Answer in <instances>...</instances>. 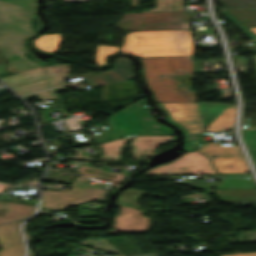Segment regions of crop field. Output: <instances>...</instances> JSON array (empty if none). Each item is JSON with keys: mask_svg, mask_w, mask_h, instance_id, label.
Instances as JSON below:
<instances>
[{"mask_svg": "<svg viewBox=\"0 0 256 256\" xmlns=\"http://www.w3.org/2000/svg\"><path fill=\"white\" fill-rule=\"evenodd\" d=\"M143 78L156 102H195L194 91L180 85L177 75L192 73L193 57L138 58Z\"/></svg>", "mask_w": 256, "mask_h": 256, "instance_id": "crop-field-2", "label": "crop field"}, {"mask_svg": "<svg viewBox=\"0 0 256 256\" xmlns=\"http://www.w3.org/2000/svg\"><path fill=\"white\" fill-rule=\"evenodd\" d=\"M61 34L43 35L36 40L34 44L37 48L52 53H58Z\"/></svg>", "mask_w": 256, "mask_h": 256, "instance_id": "crop-field-15", "label": "crop field"}, {"mask_svg": "<svg viewBox=\"0 0 256 256\" xmlns=\"http://www.w3.org/2000/svg\"><path fill=\"white\" fill-rule=\"evenodd\" d=\"M221 14L224 15L230 22H232L235 26H237L244 34H246L249 38L255 39L256 37L249 32L243 25H241L236 19H234L229 13L225 10H220Z\"/></svg>", "mask_w": 256, "mask_h": 256, "instance_id": "crop-field-19", "label": "crop field"}, {"mask_svg": "<svg viewBox=\"0 0 256 256\" xmlns=\"http://www.w3.org/2000/svg\"><path fill=\"white\" fill-rule=\"evenodd\" d=\"M249 29L252 30L256 34V28H249Z\"/></svg>", "mask_w": 256, "mask_h": 256, "instance_id": "crop-field-21", "label": "crop field"}, {"mask_svg": "<svg viewBox=\"0 0 256 256\" xmlns=\"http://www.w3.org/2000/svg\"><path fill=\"white\" fill-rule=\"evenodd\" d=\"M107 122L110 130L92 136L96 142L129 135L172 134L171 129L152 119L143 99L108 117Z\"/></svg>", "mask_w": 256, "mask_h": 256, "instance_id": "crop-field-4", "label": "crop field"}, {"mask_svg": "<svg viewBox=\"0 0 256 256\" xmlns=\"http://www.w3.org/2000/svg\"><path fill=\"white\" fill-rule=\"evenodd\" d=\"M206 156L213 155L211 159L219 173L249 172L238 146H220L207 144L199 150Z\"/></svg>", "mask_w": 256, "mask_h": 256, "instance_id": "crop-field-9", "label": "crop field"}, {"mask_svg": "<svg viewBox=\"0 0 256 256\" xmlns=\"http://www.w3.org/2000/svg\"><path fill=\"white\" fill-rule=\"evenodd\" d=\"M132 136L102 143L104 155L101 156L102 160H118L120 159L121 147L127 140L131 139ZM172 136H135L131 142L133 146V156L144 155L152 152L153 148L159 144H162Z\"/></svg>", "mask_w": 256, "mask_h": 256, "instance_id": "crop-field-10", "label": "crop field"}, {"mask_svg": "<svg viewBox=\"0 0 256 256\" xmlns=\"http://www.w3.org/2000/svg\"><path fill=\"white\" fill-rule=\"evenodd\" d=\"M223 8L256 7V0H215Z\"/></svg>", "mask_w": 256, "mask_h": 256, "instance_id": "crop-field-18", "label": "crop field"}, {"mask_svg": "<svg viewBox=\"0 0 256 256\" xmlns=\"http://www.w3.org/2000/svg\"><path fill=\"white\" fill-rule=\"evenodd\" d=\"M168 120L181 128L185 134L202 132L197 116V103H158ZM235 109L226 107L208 126L207 130H229L233 123Z\"/></svg>", "mask_w": 256, "mask_h": 256, "instance_id": "crop-field-5", "label": "crop field"}, {"mask_svg": "<svg viewBox=\"0 0 256 256\" xmlns=\"http://www.w3.org/2000/svg\"><path fill=\"white\" fill-rule=\"evenodd\" d=\"M119 52L137 57L192 55L189 30H157L131 32Z\"/></svg>", "mask_w": 256, "mask_h": 256, "instance_id": "crop-field-3", "label": "crop field"}, {"mask_svg": "<svg viewBox=\"0 0 256 256\" xmlns=\"http://www.w3.org/2000/svg\"><path fill=\"white\" fill-rule=\"evenodd\" d=\"M118 49V47L98 45L95 60L98 64V67L104 66L106 64L107 56L115 53L116 51H118Z\"/></svg>", "mask_w": 256, "mask_h": 256, "instance_id": "crop-field-17", "label": "crop field"}, {"mask_svg": "<svg viewBox=\"0 0 256 256\" xmlns=\"http://www.w3.org/2000/svg\"><path fill=\"white\" fill-rule=\"evenodd\" d=\"M24 220L0 225V256H23V242L18 227Z\"/></svg>", "mask_w": 256, "mask_h": 256, "instance_id": "crop-field-13", "label": "crop field"}, {"mask_svg": "<svg viewBox=\"0 0 256 256\" xmlns=\"http://www.w3.org/2000/svg\"><path fill=\"white\" fill-rule=\"evenodd\" d=\"M35 2L0 0V50L10 62L2 67L10 74L48 65L22 47L23 39L40 27Z\"/></svg>", "mask_w": 256, "mask_h": 256, "instance_id": "crop-field-1", "label": "crop field"}, {"mask_svg": "<svg viewBox=\"0 0 256 256\" xmlns=\"http://www.w3.org/2000/svg\"><path fill=\"white\" fill-rule=\"evenodd\" d=\"M224 256H256V252L255 253H245V254L224 255Z\"/></svg>", "mask_w": 256, "mask_h": 256, "instance_id": "crop-field-20", "label": "crop field"}, {"mask_svg": "<svg viewBox=\"0 0 256 256\" xmlns=\"http://www.w3.org/2000/svg\"><path fill=\"white\" fill-rule=\"evenodd\" d=\"M123 16V19L117 23L121 31L189 29L190 23L187 11L130 13Z\"/></svg>", "mask_w": 256, "mask_h": 256, "instance_id": "crop-field-6", "label": "crop field"}, {"mask_svg": "<svg viewBox=\"0 0 256 256\" xmlns=\"http://www.w3.org/2000/svg\"><path fill=\"white\" fill-rule=\"evenodd\" d=\"M119 212L115 215L112 228L115 230H109L108 234H117L118 232H148L151 222L150 218L142 216V212L134 209L119 206Z\"/></svg>", "mask_w": 256, "mask_h": 256, "instance_id": "crop-field-12", "label": "crop field"}, {"mask_svg": "<svg viewBox=\"0 0 256 256\" xmlns=\"http://www.w3.org/2000/svg\"><path fill=\"white\" fill-rule=\"evenodd\" d=\"M254 42V44H255V46H256V41H253Z\"/></svg>", "mask_w": 256, "mask_h": 256, "instance_id": "crop-field-23", "label": "crop field"}, {"mask_svg": "<svg viewBox=\"0 0 256 256\" xmlns=\"http://www.w3.org/2000/svg\"><path fill=\"white\" fill-rule=\"evenodd\" d=\"M253 55V58H254V61H255V64H256V54H252Z\"/></svg>", "mask_w": 256, "mask_h": 256, "instance_id": "crop-field-22", "label": "crop field"}, {"mask_svg": "<svg viewBox=\"0 0 256 256\" xmlns=\"http://www.w3.org/2000/svg\"><path fill=\"white\" fill-rule=\"evenodd\" d=\"M133 78L132 63L126 57H116L112 67L105 72H98L83 80L91 87L106 86Z\"/></svg>", "mask_w": 256, "mask_h": 256, "instance_id": "crop-field-11", "label": "crop field"}, {"mask_svg": "<svg viewBox=\"0 0 256 256\" xmlns=\"http://www.w3.org/2000/svg\"><path fill=\"white\" fill-rule=\"evenodd\" d=\"M214 170L207 158L198 152H185L177 161L157 166L149 170L145 176L160 175H194L214 174Z\"/></svg>", "mask_w": 256, "mask_h": 256, "instance_id": "crop-field-8", "label": "crop field"}, {"mask_svg": "<svg viewBox=\"0 0 256 256\" xmlns=\"http://www.w3.org/2000/svg\"><path fill=\"white\" fill-rule=\"evenodd\" d=\"M36 206L0 201V210H6L0 217V223L30 216Z\"/></svg>", "mask_w": 256, "mask_h": 256, "instance_id": "crop-field-14", "label": "crop field"}, {"mask_svg": "<svg viewBox=\"0 0 256 256\" xmlns=\"http://www.w3.org/2000/svg\"><path fill=\"white\" fill-rule=\"evenodd\" d=\"M247 27H256V9L227 10Z\"/></svg>", "mask_w": 256, "mask_h": 256, "instance_id": "crop-field-16", "label": "crop field"}, {"mask_svg": "<svg viewBox=\"0 0 256 256\" xmlns=\"http://www.w3.org/2000/svg\"><path fill=\"white\" fill-rule=\"evenodd\" d=\"M86 179L76 177L70 185L69 192L42 191L40 208L60 209L91 200L104 203L108 191L82 185Z\"/></svg>", "mask_w": 256, "mask_h": 256, "instance_id": "crop-field-7", "label": "crop field"}]
</instances>
